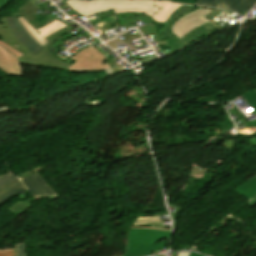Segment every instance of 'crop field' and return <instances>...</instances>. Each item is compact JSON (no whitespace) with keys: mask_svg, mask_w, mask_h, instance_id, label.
I'll return each instance as SVG.
<instances>
[{"mask_svg":"<svg viewBox=\"0 0 256 256\" xmlns=\"http://www.w3.org/2000/svg\"><path fill=\"white\" fill-rule=\"evenodd\" d=\"M212 11L205 8L195 9L174 21L171 32L175 37L166 40L171 54L182 50L210 32L218 30L204 17Z\"/></svg>","mask_w":256,"mask_h":256,"instance_id":"8a807250","label":"crop field"},{"mask_svg":"<svg viewBox=\"0 0 256 256\" xmlns=\"http://www.w3.org/2000/svg\"><path fill=\"white\" fill-rule=\"evenodd\" d=\"M67 33L66 30H61L46 38L49 42L36 55L29 51L21 44L11 33L6 17H0V39L11 47L15 48L24 55L18 58L20 64L35 67H49L55 69H68L71 64L57 59L51 54L49 48L53 41Z\"/></svg>","mask_w":256,"mask_h":256,"instance_id":"ac0d7876","label":"crop field"},{"mask_svg":"<svg viewBox=\"0 0 256 256\" xmlns=\"http://www.w3.org/2000/svg\"><path fill=\"white\" fill-rule=\"evenodd\" d=\"M66 5L60 7L62 9L72 7L84 17L96 13L114 9L115 14L124 12H138L153 16L160 8L153 7L154 1L148 0H91L81 2L77 0H66Z\"/></svg>","mask_w":256,"mask_h":256,"instance_id":"34b2d1b8","label":"crop field"},{"mask_svg":"<svg viewBox=\"0 0 256 256\" xmlns=\"http://www.w3.org/2000/svg\"><path fill=\"white\" fill-rule=\"evenodd\" d=\"M170 230L150 227H132L129 233L128 249L124 256H147L151 251L167 246Z\"/></svg>","mask_w":256,"mask_h":256,"instance_id":"412701ff","label":"crop field"},{"mask_svg":"<svg viewBox=\"0 0 256 256\" xmlns=\"http://www.w3.org/2000/svg\"><path fill=\"white\" fill-rule=\"evenodd\" d=\"M71 59L75 60L68 69L71 72L92 73L110 68L108 64L104 63L106 57L99 53L93 46L79 52Z\"/></svg>","mask_w":256,"mask_h":256,"instance_id":"f4fd0767","label":"crop field"},{"mask_svg":"<svg viewBox=\"0 0 256 256\" xmlns=\"http://www.w3.org/2000/svg\"><path fill=\"white\" fill-rule=\"evenodd\" d=\"M22 54L0 41V68L8 76H23L24 70L17 62Z\"/></svg>","mask_w":256,"mask_h":256,"instance_id":"dd49c442","label":"crop field"},{"mask_svg":"<svg viewBox=\"0 0 256 256\" xmlns=\"http://www.w3.org/2000/svg\"><path fill=\"white\" fill-rule=\"evenodd\" d=\"M195 5L236 11L237 13H240L243 10L249 12L256 5V0H199Z\"/></svg>","mask_w":256,"mask_h":256,"instance_id":"e52e79f7","label":"crop field"},{"mask_svg":"<svg viewBox=\"0 0 256 256\" xmlns=\"http://www.w3.org/2000/svg\"><path fill=\"white\" fill-rule=\"evenodd\" d=\"M28 188L29 194L34 201L49 196L51 199L57 198L53 190L45 181L36 173L21 180Z\"/></svg>","mask_w":256,"mask_h":256,"instance_id":"d8731c3e","label":"crop field"},{"mask_svg":"<svg viewBox=\"0 0 256 256\" xmlns=\"http://www.w3.org/2000/svg\"><path fill=\"white\" fill-rule=\"evenodd\" d=\"M21 23L27 32L33 37V39L38 42L42 47L48 42L45 40V37L59 31L60 29L66 27L63 23L58 20L51 22L42 28L36 30L33 28L30 23H28L23 17L19 18Z\"/></svg>","mask_w":256,"mask_h":256,"instance_id":"5a996713","label":"crop field"},{"mask_svg":"<svg viewBox=\"0 0 256 256\" xmlns=\"http://www.w3.org/2000/svg\"><path fill=\"white\" fill-rule=\"evenodd\" d=\"M13 35L23 43L33 53L41 50V46L36 43L31 36L25 31L18 18H7Z\"/></svg>","mask_w":256,"mask_h":256,"instance_id":"3316defc","label":"crop field"},{"mask_svg":"<svg viewBox=\"0 0 256 256\" xmlns=\"http://www.w3.org/2000/svg\"><path fill=\"white\" fill-rule=\"evenodd\" d=\"M26 191L19 179L0 188V205L8 199Z\"/></svg>","mask_w":256,"mask_h":256,"instance_id":"28ad6ade","label":"crop field"},{"mask_svg":"<svg viewBox=\"0 0 256 256\" xmlns=\"http://www.w3.org/2000/svg\"><path fill=\"white\" fill-rule=\"evenodd\" d=\"M154 6L162 7L152 18L155 22H165L181 4L171 3L168 1H155Z\"/></svg>","mask_w":256,"mask_h":256,"instance_id":"d1516ede","label":"crop field"},{"mask_svg":"<svg viewBox=\"0 0 256 256\" xmlns=\"http://www.w3.org/2000/svg\"><path fill=\"white\" fill-rule=\"evenodd\" d=\"M233 190L249 201L254 196H256V176L245 181Z\"/></svg>","mask_w":256,"mask_h":256,"instance_id":"22f410ed","label":"crop field"},{"mask_svg":"<svg viewBox=\"0 0 256 256\" xmlns=\"http://www.w3.org/2000/svg\"><path fill=\"white\" fill-rule=\"evenodd\" d=\"M251 107L256 111V91H249L243 95Z\"/></svg>","mask_w":256,"mask_h":256,"instance_id":"cbeb9de0","label":"crop field"},{"mask_svg":"<svg viewBox=\"0 0 256 256\" xmlns=\"http://www.w3.org/2000/svg\"><path fill=\"white\" fill-rule=\"evenodd\" d=\"M15 179H17V177L11 171H8L0 176V186Z\"/></svg>","mask_w":256,"mask_h":256,"instance_id":"5142ce71","label":"crop field"},{"mask_svg":"<svg viewBox=\"0 0 256 256\" xmlns=\"http://www.w3.org/2000/svg\"><path fill=\"white\" fill-rule=\"evenodd\" d=\"M158 217H140L136 220L134 225H141V224H151V223H158Z\"/></svg>","mask_w":256,"mask_h":256,"instance_id":"d9b57169","label":"crop field"},{"mask_svg":"<svg viewBox=\"0 0 256 256\" xmlns=\"http://www.w3.org/2000/svg\"><path fill=\"white\" fill-rule=\"evenodd\" d=\"M29 205H30L29 203L22 201L18 204L13 205L10 209H8V211H11L17 214L18 212L30 207Z\"/></svg>","mask_w":256,"mask_h":256,"instance_id":"733c2abd","label":"crop field"},{"mask_svg":"<svg viewBox=\"0 0 256 256\" xmlns=\"http://www.w3.org/2000/svg\"><path fill=\"white\" fill-rule=\"evenodd\" d=\"M15 256H27L25 243L15 245Z\"/></svg>","mask_w":256,"mask_h":256,"instance_id":"4a817a6b","label":"crop field"},{"mask_svg":"<svg viewBox=\"0 0 256 256\" xmlns=\"http://www.w3.org/2000/svg\"><path fill=\"white\" fill-rule=\"evenodd\" d=\"M0 256H13V249H0Z\"/></svg>","mask_w":256,"mask_h":256,"instance_id":"bc2a9ffb","label":"crop field"},{"mask_svg":"<svg viewBox=\"0 0 256 256\" xmlns=\"http://www.w3.org/2000/svg\"><path fill=\"white\" fill-rule=\"evenodd\" d=\"M108 30L110 29H113L115 27H118L120 26V23L118 22V20L114 21V22H111V23H108L106 25H104Z\"/></svg>","mask_w":256,"mask_h":256,"instance_id":"214f88e0","label":"crop field"},{"mask_svg":"<svg viewBox=\"0 0 256 256\" xmlns=\"http://www.w3.org/2000/svg\"><path fill=\"white\" fill-rule=\"evenodd\" d=\"M174 1L185 3V4H194L197 0H174Z\"/></svg>","mask_w":256,"mask_h":256,"instance_id":"92a150f3","label":"crop field"},{"mask_svg":"<svg viewBox=\"0 0 256 256\" xmlns=\"http://www.w3.org/2000/svg\"><path fill=\"white\" fill-rule=\"evenodd\" d=\"M249 113H250V114L252 113V114L256 115V113H255L254 110H253V111H250ZM246 124L248 125V127L254 126V125H256V120H253V121H251V122H246Z\"/></svg>","mask_w":256,"mask_h":256,"instance_id":"dafd665d","label":"crop field"},{"mask_svg":"<svg viewBox=\"0 0 256 256\" xmlns=\"http://www.w3.org/2000/svg\"><path fill=\"white\" fill-rule=\"evenodd\" d=\"M11 0H0V9L8 2H10Z\"/></svg>","mask_w":256,"mask_h":256,"instance_id":"00972430","label":"crop field"},{"mask_svg":"<svg viewBox=\"0 0 256 256\" xmlns=\"http://www.w3.org/2000/svg\"><path fill=\"white\" fill-rule=\"evenodd\" d=\"M111 69H112L113 73L118 72V71H122V68L113 67Z\"/></svg>","mask_w":256,"mask_h":256,"instance_id":"a9b5d70f","label":"crop field"},{"mask_svg":"<svg viewBox=\"0 0 256 256\" xmlns=\"http://www.w3.org/2000/svg\"><path fill=\"white\" fill-rule=\"evenodd\" d=\"M190 254V252H182L179 253L178 256H188Z\"/></svg>","mask_w":256,"mask_h":256,"instance_id":"4177f3b9","label":"crop field"},{"mask_svg":"<svg viewBox=\"0 0 256 256\" xmlns=\"http://www.w3.org/2000/svg\"><path fill=\"white\" fill-rule=\"evenodd\" d=\"M249 204H250L251 206H254V205L256 204V198L252 199V200L249 202Z\"/></svg>","mask_w":256,"mask_h":256,"instance_id":"730fd06b","label":"crop field"},{"mask_svg":"<svg viewBox=\"0 0 256 256\" xmlns=\"http://www.w3.org/2000/svg\"><path fill=\"white\" fill-rule=\"evenodd\" d=\"M6 110H10V108H9V107H7V106H5V107H3V108H0V112H2V111H6Z\"/></svg>","mask_w":256,"mask_h":256,"instance_id":"eef30255","label":"crop field"},{"mask_svg":"<svg viewBox=\"0 0 256 256\" xmlns=\"http://www.w3.org/2000/svg\"><path fill=\"white\" fill-rule=\"evenodd\" d=\"M159 46L167 44L165 40L158 42Z\"/></svg>","mask_w":256,"mask_h":256,"instance_id":"ae1a2a85","label":"crop field"},{"mask_svg":"<svg viewBox=\"0 0 256 256\" xmlns=\"http://www.w3.org/2000/svg\"><path fill=\"white\" fill-rule=\"evenodd\" d=\"M190 256H201V255L195 254V253H192V252H191Z\"/></svg>","mask_w":256,"mask_h":256,"instance_id":"d3111659","label":"crop field"},{"mask_svg":"<svg viewBox=\"0 0 256 256\" xmlns=\"http://www.w3.org/2000/svg\"><path fill=\"white\" fill-rule=\"evenodd\" d=\"M254 146L256 147V138L252 139Z\"/></svg>","mask_w":256,"mask_h":256,"instance_id":"750c4746","label":"crop field"},{"mask_svg":"<svg viewBox=\"0 0 256 256\" xmlns=\"http://www.w3.org/2000/svg\"><path fill=\"white\" fill-rule=\"evenodd\" d=\"M113 58L111 55L107 56V60Z\"/></svg>","mask_w":256,"mask_h":256,"instance_id":"bd1437ed","label":"crop field"},{"mask_svg":"<svg viewBox=\"0 0 256 256\" xmlns=\"http://www.w3.org/2000/svg\"><path fill=\"white\" fill-rule=\"evenodd\" d=\"M170 1H173V0H170Z\"/></svg>","mask_w":256,"mask_h":256,"instance_id":"1d83c4d3","label":"crop field"}]
</instances>
